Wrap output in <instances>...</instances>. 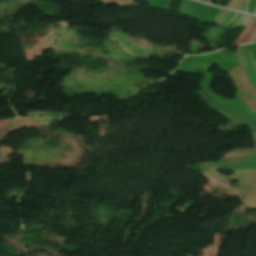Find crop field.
Masks as SVG:
<instances>
[{
  "instance_id": "1",
  "label": "crop field",
  "mask_w": 256,
  "mask_h": 256,
  "mask_svg": "<svg viewBox=\"0 0 256 256\" xmlns=\"http://www.w3.org/2000/svg\"><path fill=\"white\" fill-rule=\"evenodd\" d=\"M229 73L248 109L252 112H256V98L248 87L240 66L234 67Z\"/></svg>"
},
{
  "instance_id": "2",
  "label": "crop field",
  "mask_w": 256,
  "mask_h": 256,
  "mask_svg": "<svg viewBox=\"0 0 256 256\" xmlns=\"http://www.w3.org/2000/svg\"><path fill=\"white\" fill-rule=\"evenodd\" d=\"M256 38V17L252 16L247 27L243 30L235 44L251 43Z\"/></svg>"
},
{
  "instance_id": "3",
  "label": "crop field",
  "mask_w": 256,
  "mask_h": 256,
  "mask_svg": "<svg viewBox=\"0 0 256 256\" xmlns=\"http://www.w3.org/2000/svg\"><path fill=\"white\" fill-rule=\"evenodd\" d=\"M242 17H243V14H242V16L240 17L239 21L241 20ZM245 17H246V15H244V17L242 18V20L240 21V23H239V21H238V23H239V24L237 23L238 26L241 25V23L243 22V20L245 19ZM247 18H248V15H247L246 19H247ZM250 18H251V16H249V18L247 19V21H246V19L244 20V22H245V21H246V22H245V24H244V22L242 23V25L244 24L243 27L246 26V24L248 23V21H249ZM237 24L235 25V27L237 26ZM238 26H237V27H238ZM235 27H234V28H235ZM237 27H236V28H237ZM236 28H235V29H236Z\"/></svg>"
},
{
  "instance_id": "4",
  "label": "crop field",
  "mask_w": 256,
  "mask_h": 256,
  "mask_svg": "<svg viewBox=\"0 0 256 256\" xmlns=\"http://www.w3.org/2000/svg\"><path fill=\"white\" fill-rule=\"evenodd\" d=\"M241 202L243 204H245L246 206H249V205H252V204H256V198L248 199V200H242Z\"/></svg>"
},
{
  "instance_id": "5",
  "label": "crop field",
  "mask_w": 256,
  "mask_h": 256,
  "mask_svg": "<svg viewBox=\"0 0 256 256\" xmlns=\"http://www.w3.org/2000/svg\"><path fill=\"white\" fill-rule=\"evenodd\" d=\"M233 14H234V12L231 11L230 14H229V16H228V18L226 19V21H225L224 24L222 25V27H226V26L229 24V22H230V20H231V18H232V16H233Z\"/></svg>"
},
{
  "instance_id": "6",
  "label": "crop field",
  "mask_w": 256,
  "mask_h": 256,
  "mask_svg": "<svg viewBox=\"0 0 256 256\" xmlns=\"http://www.w3.org/2000/svg\"><path fill=\"white\" fill-rule=\"evenodd\" d=\"M245 71H246V73H247V75H248V77H249V79H250V81H251V83H252L254 89L256 90V85L254 84V82H253V80H252V78H251V76H250V73H249L247 67H245Z\"/></svg>"
},
{
  "instance_id": "7",
  "label": "crop field",
  "mask_w": 256,
  "mask_h": 256,
  "mask_svg": "<svg viewBox=\"0 0 256 256\" xmlns=\"http://www.w3.org/2000/svg\"><path fill=\"white\" fill-rule=\"evenodd\" d=\"M241 67H242V66H241ZM243 67H244V66H243ZM243 67H242V70H243V73H244V75H245L246 81H247L248 85L250 86V88L253 90V88H252V86H251V84H250V82H249V80H248V78H247V76H246V73H245ZM253 92H254V94H256V92H255L254 90H253Z\"/></svg>"
},
{
  "instance_id": "8",
  "label": "crop field",
  "mask_w": 256,
  "mask_h": 256,
  "mask_svg": "<svg viewBox=\"0 0 256 256\" xmlns=\"http://www.w3.org/2000/svg\"><path fill=\"white\" fill-rule=\"evenodd\" d=\"M237 2H238V0L235 1L234 5H233V7H232L233 9L235 8ZM240 2H241V0L239 1L238 5L240 4ZM238 5H237V7H238ZM237 7H236V9H237Z\"/></svg>"
},
{
  "instance_id": "9",
  "label": "crop field",
  "mask_w": 256,
  "mask_h": 256,
  "mask_svg": "<svg viewBox=\"0 0 256 256\" xmlns=\"http://www.w3.org/2000/svg\"><path fill=\"white\" fill-rule=\"evenodd\" d=\"M250 207H254V208H256V205H253V206H250Z\"/></svg>"
},
{
  "instance_id": "10",
  "label": "crop field",
  "mask_w": 256,
  "mask_h": 256,
  "mask_svg": "<svg viewBox=\"0 0 256 256\" xmlns=\"http://www.w3.org/2000/svg\"><path fill=\"white\" fill-rule=\"evenodd\" d=\"M207 2L211 3V1H210V0H207Z\"/></svg>"
}]
</instances>
